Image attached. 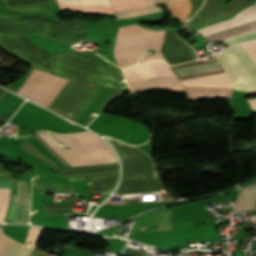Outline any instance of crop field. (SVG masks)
Segmentation results:
<instances>
[{"label":"crop field","instance_id":"412701ff","mask_svg":"<svg viewBox=\"0 0 256 256\" xmlns=\"http://www.w3.org/2000/svg\"><path fill=\"white\" fill-rule=\"evenodd\" d=\"M235 84V89L256 94V68L239 44L216 55Z\"/></svg>","mask_w":256,"mask_h":256},{"label":"crop field","instance_id":"bc2a9ffb","mask_svg":"<svg viewBox=\"0 0 256 256\" xmlns=\"http://www.w3.org/2000/svg\"><path fill=\"white\" fill-rule=\"evenodd\" d=\"M14 209H15V207H11L10 208V212H9V216H8V220L7 221H11V219L13 217Z\"/></svg>","mask_w":256,"mask_h":256},{"label":"crop field","instance_id":"ac0d7876","mask_svg":"<svg viewBox=\"0 0 256 256\" xmlns=\"http://www.w3.org/2000/svg\"><path fill=\"white\" fill-rule=\"evenodd\" d=\"M164 34L165 30L145 29L136 24L118 28L114 49L117 65L126 67L136 64L149 48L156 52L152 56L148 54L142 62L163 59L160 49Z\"/></svg>","mask_w":256,"mask_h":256},{"label":"crop field","instance_id":"e52e79f7","mask_svg":"<svg viewBox=\"0 0 256 256\" xmlns=\"http://www.w3.org/2000/svg\"><path fill=\"white\" fill-rule=\"evenodd\" d=\"M256 20V5L237 13L236 17L198 30L202 35L215 34Z\"/></svg>","mask_w":256,"mask_h":256},{"label":"crop field","instance_id":"3316defc","mask_svg":"<svg viewBox=\"0 0 256 256\" xmlns=\"http://www.w3.org/2000/svg\"><path fill=\"white\" fill-rule=\"evenodd\" d=\"M28 220V195L27 184L17 180L16 209L13 221L27 223Z\"/></svg>","mask_w":256,"mask_h":256},{"label":"crop field","instance_id":"22f410ed","mask_svg":"<svg viewBox=\"0 0 256 256\" xmlns=\"http://www.w3.org/2000/svg\"><path fill=\"white\" fill-rule=\"evenodd\" d=\"M240 45L242 46L244 51L247 53L249 58L252 60V62L256 66V40L242 43ZM247 102L250 105L252 111H256V99H249L247 100Z\"/></svg>","mask_w":256,"mask_h":256},{"label":"crop field","instance_id":"34b2d1b8","mask_svg":"<svg viewBox=\"0 0 256 256\" xmlns=\"http://www.w3.org/2000/svg\"><path fill=\"white\" fill-rule=\"evenodd\" d=\"M130 91L164 87L184 92L183 86L167 63L149 61L123 70Z\"/></svg>","mask_w":256,"mask_h":256},{"label":"crop field","instance_id":"28ad6ade","mask_svg":"<svg viewBox=\"0 0 256 256\" xmlns=\"http://www.w3.org/2000/svg\"><path fill=\"white\" fill-rule=\"evenodd\" d=\"M255 208L256 185L241 190L232 215L254 210Z\"/></svg>","mask_w":256,"mask_h":256},{"label":"crop field","instance_id":"8a807250","mask_svg":"<svg viewBox=\"0 0 256 256\" xmlns=\"http://www.w3.org/2000/svg\"><path fill=\"white\" fill-rule=\"evenodd\" d=\"M54 149H56L73 167L98 165L117 162L108 145L91 132L59 135L51 133L60 143H66L72 151L63 149L46 132H38Z\"/></svg>","mask_w":256,"mask_h":256},{"label":"crop field","instance_id":"dd49c442","mask_svg":"<svg viewBox=\"0 0 256 256\" xmlns=\"http://www.w3.org/2000/svg\"><path fill=\"white\" fill-rule=\"evenodd\" d=\"M203 63H208V62L203 60L193 61V62L184 63V64H180L178 66H173V67L174 69H177V68L198 65ZM220 69L221 68L219 67V65L215 62V63H209V64L193 66V67H188L183 69H177L176 72L179 74L180 77H183V76L194 75V74L215 71ZM222 72L223 70L194 75V76H188V77H183L182 80L211 75V74H217ZM182 83L184 86L233 87V84L231 83L227 73L183 81Z\"/></svg>","mask_w":256,"mask_h":256},{"label":"crop field","instance_id":"5142ce71","mask_svg":"<svg viewBox=\"0 0 256 256\" xmlns=\"http://www.w3.org/2000/svg\"><path fill=\"white\" fill-rule=\"evenodd\" d=\"M256 38V29L224 39L228 46Z\"/></svg>","mask_w":256,"mask_h":256},{"label":"crop field","instance_id":"214f88e0","mask_svg":"<svg viewBox=\"0 0 256 256\" xmlns=\"http://www.w3.org/2000/svg\"><path fill=\"white\" fill-rule=\"evenodd\" d=\"M11 205H14V197H12Z\"/></svg>","mask_w":256,"mask_h":256},{"label":"crop field","instance_id":"4a817a6b","mask_svg":"<svg viewBox=\"0 0 256 256\" xmlns=\"http://www.w3.org/2000/svg\"><path fill=\"white\" fill-rule=\"evenodd\" d=\"M30 256H51V255H48V254L41 253V252H38V251L33 250V251L30 253Z\"/></svg>","mask_w":256,"mask_h":256},{"label":"crop field","instance_id":"733c2abd","mask_svg":"<svg viewBox=\"0 0 256 256\" xmlns=\"http://www.w3.org/2000/svg\"><path fill=\"white\" fill-rule=\"evenodd\" d=\"M167 1H173V0H146V4L147 5L158 4V3L167 2Z\"/></svg>","mask_w":256,"mask_h":256},{"label":"crop field","instance_id":"cbeb9de0","mask_svg":"<svg viewBox=\"0 0 256 256\" xmlns=\"http://www.w3.org/2000/svg\"><path fill=\"white\" fill-rule=\"evenodd\" d=\"M114 11L145 6V0H111Z\"/></svg>","mask_w":256,"mask_h":256},{"label":"crop field","instance_id":"d8731c3e","mask_svg":"<svg viewBox=\"0 0 256 256\" xmlns=\"http://www.w3.org/2000/svg\"><path fill=\"white\" fill-rule=\"evenodd\" d=\"M41 229L36 227H30L27 239L28 241H33V246L37 240V237L40 233ZM7 236V235H6ZM2 232V227L0 228V256L5 253L16 241L6 237ZM30 250V252L32 251ZM28 250H26L25 245L16 242L5 254L2 256H27Z\"/></svg>","mask_w":256,"mask_h":256},{"label":"crop field","instance_id":"d9b57169","mask_svg":"<svg viewBox=\"0 0 256 256\" xmlns=\"http://www.w3.org/2000/svg\"><path fill=\"white\" fill-rule=\"evenodd\" d=\"M10 189H0V221L4 220L8 201H9Z\"/></svg>","mask_w":256,"mask_h":256},{"label":"crop field","instance_id":"f4fd0767","mask_svg":"<svg viewBox=\"0 0 256 256\" xmlns=\"http://www.w3.org/2000/svg\"><path fill=\"white\" fill-rule=\"evenodd\" d=\"M35 72L36 69L33 68V70L31 71L30 75L28 76L22 87L17 91L18 93L21 94L23 89L28 86ZM68 81L69 80H65L60 77L39 70L32 83L30 82L31 84L28 87V89L25 88L24 91L26 89L27 90L24 94L23 91L22 94L23 96L48 108Z\"/></svg>","mask_w":256,"mask_h":256},{"label":"crop field","instance_id":"d1516ede","mask_svg":"<svg viewBox=\"0 0 256 256\" xmlns=\"http://www.w3.org/2000/svg\"><path fill=\"white\" fill-rule=\"evenodd\" d=\"M160 10L161 9L159 7L153 5V6H145L137 9L119 11V12H116L115 14H116V19H120V18L148 14V13H152Z\"/></svg>","mask_w":256,"mask_h":256},{"label":"crop field","instance_id":"5a996713","mask_svg":"<svg viewBox=\"0 0 256 256\" xmlns=\"http://www.w3.org/2000/svg\"><path fill=\"white\" fill-rule=\"evenodd\" d=\"M61 10L114 13L109 0H57Z\"/></svg>","mask_w":256,"mask_h":256}]
</instances>
